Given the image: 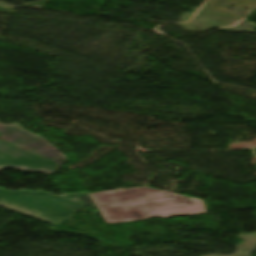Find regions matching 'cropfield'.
<instances>
[{
  "label": "crop field",
  "mask_w": 256,
  "mask_h": 256,
  "mask_svg": "<svg viewBox=\"0 0 256 256\" xmlns=\"http://www.w3.org/2000/svg\"><path fill=\"white\" fill-rule=\"evenodd\" d=\"M107 224L205 213L200 200L146 187L90 194Z\"/></svg>",
  "instance_id": "obj_1"
},
{
  "label": "crop field",
  "mask_w": 256,
  "mask_h": 256,
  "mask_svg": "<svg viewBox=\"0 0 256 256\" xmlns=\"http://www.w3.org/2000/svg\"><path fill=\"white\" fill-rule=\"evenodd\" d=\"M66 161L65 155L42 136H34L16 124L0 123V170L14 167L49 175Z\"/></svg>",
  "instance_id": "obj_2"
},
{
  "label": "crop field",
  "mask_w": 256,
  "mask_h": 256,
  "mask_svg": "<svg viewBox=\"0 0 256 256\" xmlns=\"http://www.w3.org/2000/svg\"><path fill=\"white\" fill-rule=\"evenodd\" d=\"M64 197L72 200L73 198H79L81 200L79 202L84 204L80 205L43 191H7L0 189L1 206L53 225L61 224L85 204L95 207L88 193H78Z\"/></svg>",
  "instance_id": "obj_3"
}]
</instances>
